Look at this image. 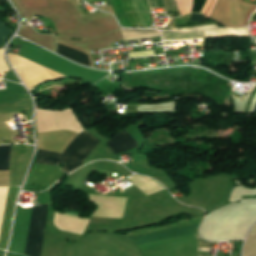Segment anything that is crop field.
Instances as JSON below:
<instances>
[{"label": "crop field", "instance_id": "28ad6ade", "mask_svg": "<svg viewBox=\"0 0 256 256\" xmlns=\"http://www.w3.org/2000/svg\"><path fill=\"white\" fill-rule=\"evenodd\" d=\"M4 3H7L6 0H0V4H4Z\"/></svg>", "mask_w": 256, "mask_h": 256}, {"label": "crop field", "instance_id": "3316defc", "mask_svg": "<svg viewBox=\"0 0 256 256\" xmlns=\"http://www.w3.org/2000/svg\"><path fill=\"white\" fill-rule=\"evenodd\" d=\"M251 21H256V13L253 14Z\"/></svg>", "mask_w": 256, "mask_h": 256}, {"label": "crop field", "instance_id": "8a807250", "mask_svg": "<svg viewBox=\"0 0 256 256\" xmlns=\"http://www.w3.org/2000/svg\"><path fill=\"white\" fill-rule=\"evenodd\" d=\"M99 141L86 130L83 131L63 154L37 150L36 163L58 165L64 163V168H59L63 173H70L81 166L88 154Z\"/></svg>", "mask_w": 256, "mask_h": 256}, {"label": "crop field", "instance_id": "e52e79f7", "mask_svg": "<svg viewBox=\"0 0 256 256\" xmlns=\"http://www.w3.org/2000/svg\"><path fill=\"white\" fill-rule=\"evenodd\" d=\"M57 53L77 63H81L84 65L93 67L90 57L88 55L78 52L76 50L70 49L58 43H57Z\"/></svg>", "mask_w": 256, "mask_h": 256}, {"label": "crop field", "instance_id": "412701ff", "mask_svg": "<svg viewBox=\"0 0 256 256\" xmlns=\"http://www.w3.org/2000/svg\"><path fill=\"white\" fill-rule=\"evenodd\" d=\"M63 176L58 166L35 164L26 183L51 186Z\"/></svg>", "mask_w": 256, "mask_h": 256}, {"label": "crop field", "instance_id": "f4fd0767", "mask_svg": "<svg viewBox=\"0 0 256 256\" xmlns=\"http://www.w3.org/2000/svg\"><path fill=\"white\" fill-rule=\"evenodd\" d=\"M106 145L113 151L114 155H116L135 148L137 143L125 131L122 130L110 138Z\"/></svg>", "mask_w": 256, "mask_h": 256}, {"label": "crop field", "instance_id": "5a996713", "mask_svg": "<svg viewBox=\"0 0 256 256\" xmlns=\"http://www.w3.org/2000/svg\"><path fill=\"white\" fill-rule=\"evenodd\" d=\"M10 30L1 20H0V49L4 48V45L11 34Z\"/></svg>", "mask_w": 256, "mask_h": 256}, {"label": "crop field", "instance_id": "dd49c442", "mask_svg": "<svg viewBox=\"0 0 256 256\" xmlns=\"http://www.w3.org/2000/svg\"><path fill=\"white\" fill-rule=\"evenodd\" d=\"M18 190H19V188H17V187H12V189H11V194H10L6 218H5V222H4L2 237H1V241H0L1 249H5V247H6L7 237H8L11 219H12V215H13L14 201L16 200Z\"/></svg>", "mask_w": 256, "mask_h": 256}, {"label": "crop field", "instance_id": "d8731c3e", "mask_svg": "<svg viewBox=\"0 0 256 256\" xmlns=\"http://www.w3.org/2000/svg\"><path fill=\"white\" fill-rule=\"evenodd\" d=\"M11 145L0 146V170H9Z\"/></svg>", "mask_w": 256, "mask_h": 256}, {"label": "crop field", "instance_id": "ac0d7876", "mask_svg": "<svg viewBox=\"0 0 256 256\" xmlns=\"http://www.w3.org/2000/svg\"><path fill=\"white\" fill-rule=\"evenodd\" d=\"M50 205H34L25 254L42 256Z\"/></svg>", "mask_w": 256, "mask_h": 256}, {"label": "crop field", "instance_id": "34b2d1b8", "mask_svg": "<svg viewBox=\"0 0 256 256\" xmlns=\"http://www.w3.org/2000/svg\"><path fill=\"white\" fill-rule=\"evenodd\" d=\"M196 225L182 227L177 229H171L166 231L154 232L149 234H143L138 236L126 237L127 239L136 243V245L147 244L152 242H158L178 237H184L189 235H194Z\"/></svg>", "mask_w": 256, "mask_h": 256}, {"label": "crop field", "instance_id": "d1516ede", "mask_svg": "<svg viewBox=\"0 0 256 256\" xmlns=\"http://www.w3.org/2000/svg\"><path fill=\"white\" fill-rule=\"evenodd\" d=\"M88 1H93V0H88Z\"/></svg>", "mask_w": 256, "mask_h": 256}]
</instances>
